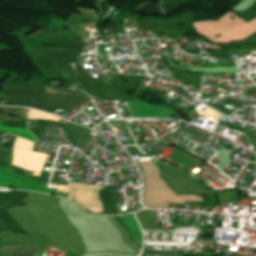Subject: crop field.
<instances>
[{
    "mask_svg": "<svg viewBox=\"0 0 256 256\" xmlns=\"http://www.w3.org/2000/svg\"><path fill=\"white\" fill-rule=\"evenodd\" d=\"M95 256H115V255H95Z\"/></svg>",
    "mask_w": 256,
    "mask_h": 256,
    "instance_id": "obj_6",
    "label": "crop field"
},
{
    "mask_svg": "<svg viewBox=\"0 0 256 256\" xmlns=\"http://www.w3.org/2000/svg\"><path fill=\"white\" fill-rule=\"evenodd\" d=\"M41 249L13 248L9 256H41Z\"/></svg>",
    "mask_w": 256,
    "mask_h": 256,
    "instance_id": "obj_5",
    "label": "crop field"
},
{
    "mask_svg": "<svg viewBox=\"0 0 256 256\" xmlns=\"http://www.w3.org/2000/svg\"><path fill=\"white\" fill-rule=\"evenodd\" d=\"M1 123L2 122H0V125H1ZM0 131H6L10 134H15V135L24 137V138H26L30 141H33V142L36 141V138L28 130H25V129L0 126Z\"/></svg>",
    "mask_w": 256,
    "mask_h": 256,
    "instance_id": "obj_4",
    "label": "crop field"
},
{
    "mask_svg": "<svg viewBox=\"0 0 256 256\" xmlns=\"http://www.w3.org/2000/svg\"><path fill=\"white\" fill-rule=\"evenodd\" d=\"M138 162V161H137ZM138 164H139V162H138ZM140 165V164H139ZM141 167V166H140Z\"/></svg>",
    "mask_w": 256,
    "mask_h": 256,
    "instance_id": "obj_7",
    "label": "crop field"
},
{
    "mask_svg": "<svg viewBox=\"0 0 256 256\" xmlns=\"http://www.w3.org/2000/svg\"><path fill=\"white\" fill-rule=\"evenodd\" d=\"M7 105H25L43 110V95H15L5 97Z\"/></svg>",
    "mask_w": 256,
    "mask_h": 256,
    "instance_id": "obj_3",
    "label": "crop field"
},
{
    "mask_svg": "<svg viewBox=\"0 0 256 256\" xmlns=\"http://www.w3.org/2000/svg\"><path fill=\"white\" fill-rule=\"evenodd\" d=\"M254 5H256V3H254Z\"/></svg>",
    "mask_w": 256,
    "mask_h": 256,
    "instance_id": "obj_8",
    "label": "crop field"
},
{
    "mask_svg": "<svg viewBox=\"0 0 256 256\" xmlns=\"http://www.w3.org/2000/svg\"><path fill=\"white\" fill-rule=\"evenodd\" d=\"M230 16H234L231 19ZM193 29L200 35L215 42L222 44L247 38L256 32V19L245 22L231 13L218 18V21L194 23ZM219 37L215 38L217 35ZM215 38V39H214Z\"/></svg>",
    "mask_w": 256,
    "mask_h": 256,
    "instance_id": "obj_1",
    "label": "crop field"
},
{
    "mask_svg": "<svg viewBox=\"0 0 256 256\" xmlns=\"http://www.w3.org/2000/svg\"><path fill=\"white\" fill-rule=\"evenodd\" d=\"M26 176H22L15 173L12 170V167L0 166V186L1 187L13 186L18 189L34 190V191H40V192L49 193V194L54 192Z\"/></svg>",
    "mask_w": 256,
    "mask_h": 256,
    "instance_id": "obj_2",
    "label": "crop field"
}]
</instances>
